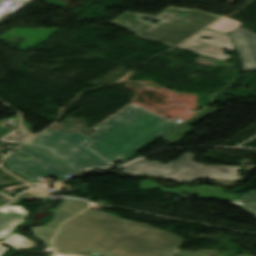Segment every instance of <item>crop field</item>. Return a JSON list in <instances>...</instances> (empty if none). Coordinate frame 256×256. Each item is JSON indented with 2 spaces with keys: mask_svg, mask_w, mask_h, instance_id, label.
<instances>
[{
  "mask_svg": "<svg viewBox=\"0 0 256 256\" xmlns=\"http://www.w3.org/2000/svg\"><path fill=\"white\" fill-rule=\"evenodd\" d=\"M78 216V215H77ZM184 239L151 226L89 209L68 221L53 241L55 252L105 256H174Z\"/></svg>",
  "mask_w": 256,
  "mask_h": 256,
  "instance_id": "1",
  "label": "crop field"
},
{
  "mask_svg": "<svg viewBox=\"0 0 256 256\" xmlns=\"http://www.w3.org/2000/svg\"><path fill=\"white\" fill-rule=\"evenodd\" d=\"M105 124L109 126L104 127ZM177 126L179 124L132 104L94 128L98 130L93 133L96 139L86 148L110 164L118 159L125 161Z\"/></svg>",
  "mask_w": 256,
  "mask_h": 256,
  "instance_id": "2",
  "label": "crop field"
},
{
  "mask_svg": "<svg viewBox=\"0 0 256 256\" xmlns=\"http://www.w3.org/2000/svg\"><path fill=\"white\" fill-rule=\"evenodd\" d=\"M143 16L162 21L153 25L140 19ZM220 17L198 9L186 10L170 7L157 17L125 12L110 23L131 29L138 33V37L163 42L174 47Z\"/></svg>",
  "mask_w": 256,
  "mask_h": 256,
  "instance_id": "3",
  "label": "crop field"
},
{
  "mask_svg": "<svg viewBox=\"0 0 256 256\" xmlns=\"http://www.w3.org/2000/svg\"><path fill=\"white\" fill-rule=\"evenodd\" d=\"M93 140L80 132L63 133L47 130L45 134H39V137L32 138L25 145L43 149L62 160L71 167L67 174H73L87 167H109L110 164L85 148Z\"/></svg>",
  "mask_w": 256,
  "mask_h": 256,
  "instance_id": "4",
  "label": "crop field"
},
{
  "mask_svg": "<svg viewBox=\"0 0 256 256\" xmlns=\"http://www.w3.org/2000/svg\"><path fill=\"white\" fill-rule=\"evenodd\" d=\"M17 150L19 152L8 155L4 161L7 163L9 171L29 179L28 183L38 182L37 178L46 176L61 179L66 171L65 165L62 162L50 157L43 151L24 146H21ZM23 151L26 152L25 154L32 156V158L20 160L19 156L17 155L19 153H23ZM11 156H14V159H10ZM38 160L41 162H38ZM30 163L32 165H29ZM43 165H45V168L42 167ZM50 165L54 166L49 167ZM58 167H60L61 170H59ZM24 171H32L33 175L23 173Z\"/></svg>",
  "mask_w": 256,
  "mask_h": 256,
  "instance_id": "5",
  "label": "crop field"
},
{
  "mask_svg": "<svg viewBox=\"0 0 256 256\" xmlns=\"http://www.w3.org/2000/svg\"><path fill=\"white\" fill-rule=\"evenodd\" d=\"M195 155L186 161L173 175L162 177L172 181H192L194 179L210 178L218 183L230 184L239 181L242 177L237 176L242 167H225L215 165H203L194 162ZM198 167V169H196ZM200 171H197L199 170ZM178 174V176H177ZM185 176H187L185 178ZM196 177V178H193Z\"/></svg>",
  "mask_w": 256,
  "mask_h": 256,
  "instance_id": "6",
  "label": "crop field"
},
{
  "mask_svg": "<svg viewBox=\"0 0 256 256\" xmlns=\"http://www.w3.org/2000/svg\"><path fill=\"white\" fill-rule=\"evenodd\" d=\"M203 35L212 38V40L200 38ZM178 48L193 51L196 52V54L204 55L222 61L232 57L224 55L225 52L222 51L224 48L235 51V48L227 34L207 29L203 30Z\"/></svg>",
  "mask_w": 256,
  "mask_h": 256,
  "instance_id": "7",
  "label": "crop field"
},
{
  "mask_svg": "<svg viewBox=\"0 0 256 256\" xmlns=\"http://www.w3.org/2000/svg\"><path fill=\"white\" fill-rule=\"evenodd\" d=\"M87 203L76 199H64L61 205L54 209L53 220L46 225V227H35L34 235L45 240V244L50 247V238L55 234L58 225L84 210Z\"/></svg>",
  "mask_w": 256,
  "mask_h": 256,
  "instance_id": "8",
  "label": "crop field"
},
{
  "mask_svg": "<svg viewBox=\"0 0 256 256\" xmlns=\"http://www.w3.org/2000/svg\"><path fill=\"white\" fill-rule=\"evenodd\" d=\"M230 34L243 62L244 71L256 70V34L240 27Z\"/></svg>",
  "mask_w": 256,
  "mask_h": 256,
  "instance_id": "9",
  "label": "crop field"
},
{
  "mask_svg": "<svg viewBox=\"0 0 256 256\" xmlns=\"http://www.w3.org/2000/svg\"><path fill=\"white\" fill-rule=\"evenodd\" d=\"M192 155V153H188L186 152L185 154H183L182 156H180L177 160L172 161L171 163H167L165 166L160 164V162H150L146 159H141L139 161H136L132 164H129L127 166H124L126 169L123 170L124 174H147V175H153V176H163L166 175L172 171H174L178 166H180L183 162H185L190 156ZM130 167L135 168V170H137V172L135 173V171L132 169V171H130Z\"/></svg>",
  "mask_w": 256,
  "mask_h": 256,
  "instance_id": "10",
  "label": "crop field"
},
{
  "mask_svg": "<svg viewBox=\"0 0 256 256\" xmlns=\"http://www.w3.org/2000/svg\"><path fill=\"white\" fill-rule=\"evenodd\" d=\"M28 214L23 207L7 206L0 209V239L12 234L17 224L25 222Z\"/></svg>",
  "mask_w": 256,
  "mask_h": 256,
  "instance_id": "11",
  "label": "crop field"
},
{
  "mask_svg": "<svg viewBox=\"0 0 256 256\" xmlns=\"http://www.w3.org/2000/svg\"><path fill=\"white\" fill-rule=\"evenodd\" d=\"M218 109L215 108H207L205 111H203L202 113L198 114L197 116H195L194 118L190 119L189 121H187L186 123L182 124L181 126L175 128L174 130H172L170 133H168L167 135H165L163 138L175 143L177 141H179L180 139L184 138L183 135L186 134L187 132H189L190 130H192L191 128H189L188 126L195 123L196 121L200 120L201 118L214 113L215 111H217ZM178 134H180V136H178Z\"/></svg>",
  "mask_w": 256,
  "mask_h": 256,
  "instance_id": "12",
  "label": "crop field"
},
{
  "mask_svg": "<svg viewBox=\"0 0 256 256\" xmlns=\"http://www.w3.org/2000/svg\"><path fill=\"white\" fill-rule=\"evenodd\" d=\"M1 243H5L7 245H10L12 247H14V250H22V249H27L30 247L35 246L34 242L19 235L14 233L12 236H10L8 239L4 240ZM8 248L6 247H2L0 245V256L7 250Z\"/></svg>",
  "mask_w": 256,
  "mask_h": 256,
  "instance_id": "13",
  "label": "crop field"
},
{
  "mask_svg": "<svg viewBox=\"0 0 256 256\" xmlns=\"http://www.w3.org/2000/svg\"><path fill=\"white\" fill-rule=\"evenodd\" d=\"M256 216V191H251L236 201H230Z\"/></svg>",
  "mask_w": 256,
  "mask_h": 256,
  "instance_id": "14",
  "label": "crop field"
},
{
  "mask_svg": "<svg viewBox=\"0 0 256 256\" xmlns=\"http://www.w3.org/2000/svg\"><path fill=\"white\" fill-rule=\"evenodd\" d=\"M240 25H242V23H240L234 19L223 18V19L217 21L216 23H214L212 26H210L209 29L228 33Z\"/></svg>",
  "mask_w": 256,
  "mask_h": 256,
  "instance_id": "15",
  "label": "crop field"
},
{
  "mask_svg": "<svg viewBox=\"0 0 256 256\" xmlns=\"http://www.w3.org/2000/svg\"><path fill=\"white\" fill-rule=\"evenodd\" d=\"M29 138V135L25 133L23 130L20 128H15L8 134H6L4 137L0 139L1 142H6V143H17L20 144L26 139Z\"/></svg>",
  "mask_w": 256,
  "mask_h": 256,
  "instance_id": "16",
  "label": "crop field"
},
{
  "mask_svg": "<svg viewBox=\"0 0 256 256\" xmlns=\"http://www.w3.org/2000/svg\"><path fill=\"white\" fill-rule=\"evenodd\" d=\"M31 196H33V195L30 194L29 192L21 194V195L18 196V198L12 204H19V203L22 202L24 197H31Z\"/></svg>",
  "mask_w": 256,
  "mask_h": 256,
  "instance_id": "17",
  "label": "crop field"
},
{
  "mask_svg": "<svg viewBox=\"0 0 256 256\" xmlns=\"http://www.w3.org/2000/svg\"><path fill=\"white\" fill-rule=\"evenodd\" d=\"M11 199H12V197L0 192V200L10 201Z\"/></svg>",
  "mask_w": 256,
  "mask_h": 256,
  "instance_id": "18",
  "label": "crop field"
},
{
  "mask_svg": "<svg viewBox=\"0 0 256 256\" xmlns=\"http://www.w3.org/2000/svg\"><path fill=\"white\" fill-rule=\"evenodd\" d=\"M44 190H42L41 188H38V189H36V190H33L32 192L33 193H36V192H38V193H41V194H45V192H43Z\"/></svg>",
  "mask_w": 256,
  "mask_h": 256,
  "instance_id": "19",
  "label": "crop field"
},
{
  "mask_svg": "<svg viewBox=\"0 0 256 256\" xmlns=\"http://www.w3.org/2000/svg\"><path fill=\"white\" fill-rule=\"evenodd\" d=\"M62 186H66V185H63L61 183H58V184H55L54 187L58 188V187H62Z\"/></svg>",
  "mask_w": 256,
  "mask_h": 256,
  "instance_id": "20",
  "label": "crop field"
},
{
  "mask_svg": "<svg viewBox=\"0 0 256 256\" xmlns=\"http://www.w3.org/2000/svg\"><path fill=\"white\" fill-rule=\"evenodd\" d=\"M6 203H8V202L0 201V206L4 205V204H6Z\"/></svg>",
  "mask_w": 256,
  "mask_h": 256,
  "instance_id": "21",
  "label": "crop field"
},
{
  "mask_svg": "<svg viewBox=\"0 0 256 256\" xmlns=\"http://www.w3.org/2000/svg\"><path fill=\"white\" fill-rule=\"evenodd\" d=\"M56 256H68V255H60V254H56Z\"/></svg>",
  "mask_w": 256,
  "mask_h": 256,
  "instance_id": "22",
  "label": "crop field"
},
{
  "mask_svg": "<svg viewBox=\"0 0 256 256\" xmlns=\"http://www.w3.org/2000/svg\"><path fill=\"white\" fill-rule=\"evenodd\" d=\"M49 256H52V255H49Z\"/></svg>",
  "mask_w": 256,
  "mask_h": 256,
  "instance_id": "23",
  "label": "crop field"
}]
</instances>
